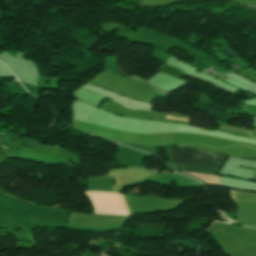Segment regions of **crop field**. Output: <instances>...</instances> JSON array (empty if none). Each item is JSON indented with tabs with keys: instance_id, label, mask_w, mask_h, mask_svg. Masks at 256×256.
<instances>
[{
	"instance_id": "crop-field-4",
	"label": "crop field",
	"mask_w": 256,
	"mask_h": 256,
	"mask_svg": "<svg viewBox=\"0 0 256 256\" xmlns=\"http://www.w3.org/2000/svg\"><path fill=\"white\" fill-rule=\"evenodd\" d=\"M3 147V146H2ZM5 148V147H4ZM7 149V148H6Z\"/></svg>"
},
{
	"instance_id": "crop-field-2",
	"label": "crop field",
	"mask_w": 256,
	"mask_h": 256,
	"mask_svg": "<svg viewBox=\"0 0 256 256\" xmlns=\"http://www.w3.org/2000/svg\"><path fill=\"white\" fill-rule=\"evenodd\" d=\"M187 174H191L195 177H198L202 181L208 184H214V185H220L222 177L216 176V175H210V174H200V173H189L184 172Z\"/></svg>"
},
{
	"instance_id": "crop-field-3",
	"label": "crop field",
	"mask_w": 256,
	"mask_h": 256,
	"mask_svg": "<svg viewBox=\"0 0 256 256\" xmlns=\"http://www.w3.org/2000/svg\"><path fill=\"white\" fill-rule=\"evenodd\" d=\"M166 119H168V118H166ZM172 120H175V119H172ZM183 121H185V120H183ZM187 122V121H186Z\"/></svg>"
},
{
	"instance_id": "crop-field-1",
	"label": "crop field",
	"mask_w": 256,
	"mask_h": 256,
	"mask_svg": "<svg viewBox=\"0 0 256 256\" xmlns=\"http://www.w3.org/2000/svg\"><path fill=\"white\" fill-rule=\"evenodd\" d=\"M171 157L176 171L215 174L225 157L200 151L171 147Z\"/></svg>"
}]
</instances>
